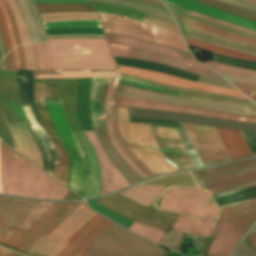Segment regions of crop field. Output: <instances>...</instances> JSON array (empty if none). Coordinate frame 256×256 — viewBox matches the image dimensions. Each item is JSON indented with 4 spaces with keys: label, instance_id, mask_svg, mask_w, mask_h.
<instances>
[{
    "label": "crop field",
    "instance_id": "8a807250",
    "mask_svg": "<svg viewBox=\"0 0 256 256\" xmlns=\"http://www.w3.org/2000/svg\"><path fill=\"white\" fill-rule=\"evenodd\" d=\"M74 209L51 234L44 235L30 250L35 256H61L79 232L97 216L84 202ZM114 222L98 215L75 238L62 256H90L84 254L88 246Z\"/></svg>",
    "mask_w": 256,
    "mask_h": 256
},
{
    "label": "crop field",
    "instance_id": "ac0d7876",
    "mask_svg": "<svg viewBox=\"0 0 256 256\" xmlns=\"http://www.w3.org/2000/svg\"><path fill=\"white\" fill-rule=\"evenodd\" d=\"M33 46L37 70L117 69L105 39H53Z\"/></svg>",
    "mask_w": 256,
    "mask_h": 256
},
{
    "label": "crop field",
    "instance_id": "34b2d1b8",
    "mask_svg": "<svg viewBox=\"0 0 256 256\" xmlns=\"http://www.w3.org/2000/svg\"><path fill=\"white\" fill-rule=\"evenodd\" d=\"M3 194L63 199L67 189L0 141Z\"/></svg>",
    "mask_w": 256,
    "mask_h": 256
},
{
    "label": "crop field",
    "instance_id": "412701ff",
    "mask_svg": "<svg viewBox=\"0 0 256 256\" xmlns=\"http://www.w3.org/2000/svg\"><path fill=\"white\" fill-rule=\"evenodd\" d=\"M0 113L7 125L27 121L18 92L17 70L0 69ZM8 127L15 150L43 168L41 153L27 122Z\"/></svg>",
    "mask_w": 256,
    "mask_h": 256
},
{
    "label": "crop field",
    "instance_id": "f4fd0767",
    "mask_svg": "<svg viewBox=\"0 0 256 256\" xmlns=\"http://www.w3.org/2000/svg\"><path fill=\"white\" fill-rule=\"evenodd\" d=\"M117 111L122 139L154 176L178 171L163 159L165 156L156 143L151 124L130 122L124 107H117Z\"/></svg>",
    "mask_w": 256,
    "mask_h": 256
},
{
    "label": "crop field",
    "instance_id": "dd49c442",
    "mask_svg": "<svg viewBox=\"0 0 256 256\" xmlns=\"http://www.w3.org/2000/svg\"><path fill=\"white\" fill-rule=\"evenodd\" d=\"M164 252V249L147 243L114 223L89 246L86 254L94 256H163Z\"/></svg>",
    "mask_w": 256,
    "mask_h": 256
},
{
    "label": "crop field",
    "instance_id": "e52e79f7",
    "mask_svg": "<svg viewBox=\"0 0 256 256\" xmlns=\"http://www.w3.org/2000/svg\"><path fill=\"white\" fill-rule=\"evenodd\" d=\"M96 14L104 33L127 35L190 53L179 35L128 17L98 11Z\"/></svg>",
    "mask_w": 256,
    "mask_h": 256
},
{
    "label": "crop field",
    "instance_id": "d8731c3e",
    "mask_svg": "<svg viewBox=\"0 0 256 256\" xmlns=\"http://www.w3.org/2000/svg\"><path fill=\"white\" fill-rule=\"evenodd\" d=\"M45 105L55 128L71 157L68 174V188L82 196L85 187L86 170L81 147L73 136L63 115L61 102L45 101Z\"/></svg>",
    "mask_w": 256,
    "mask_h": 256
},
{
    "label": "crop field",
    "instance_id": "5a996713",
    "mask_svg": "<svg viewBox=\"0 0 256 256\" xmlns=\"http://www.w3.org/2000/svg\"><path fill=\"white\" fill-rule=\"evenodd\" d=\"M156 207L205 218H215L218 214V209L209 194L200 189H168L157 200Z\"/></svg>",
    "mask_w": 256,
    "mask_h": 256
},
{
    "label": "crop field",
    "instance_id": "3316defc",
    "mask_svg": "<svg viewBox=\"0 0 256 256\" xmlns=\"http://www.w3.org/2000/svg\"><path fill=\"white\" fill-rule=\"evenodd\" d=\"M77 206L74 203H55L28 231L12 227L6 236L0 234V243L28 253L42 234L48 236Z\"/></svg>",
    "mask_w": 256,
    "mask_h": 256
},
{
    "label": "crop field",
    "instance_id": "28ad6ade",
    "mask_svg": "<svg viewBox=\"0 0 256 256\" xmlns=\"http://www.w3.org/2000/svg\"><path fill=\"white\" fill-rule=\"evenodd\" d=\"M109 78H93L91 111L96 135L111 161L124 173L131 185L142 179L118 155L108 139L104 101Z\"/></svg>",
    "mask_w": 256,
    "mask_h": 256
},
{
    "label": "crop field",
    "instance_id": "d1516ede",
    "mask_svg": "<svg viewBox=\"0 0 256 256\" xmlns=\"http://www.w3.org/2000/svg\"><path fill=\"white\" fill-rule=\"evenodd\" d=\"M36 203L35 200L0 196V233L6 235L11 226L17 227ZM53 203L39 201L18 228L28 230L49 210Z\"/></svg>",
    "mask_w": 256,
    "mask_h": 256
},
{
    "label": "crop field",
    "instance_id": "22f410ed",
    "mask_svg": "<svg viewBox=\"0 0 256 256\" xmlns=\"http://www.w3.org/2000/svg\"><path fill=\"white\" fill-rule=\"evenodd\" d=\"M97 203L133 221L165 231H168L178 217L177 214L146 209L118 194L98 199Z\"/></svg>",
    "mask_w": 256,
    "mask_h": 256
},
{
    "label": "crop field",
    "instance_id": "cbeb9de0",
    "mask_svg": "<svg viewBox=\"0 0 256 256\" xmlns=\"http://www.w3.org/2000/svg\"><path fill=\"white\" fill-rule=\"evenodd\" d=\"M192 173L206 189L232 185L256 179V158Z\"/></svg>",
    "mask_w": 256,
    "mask_h": 256
},
{
    "label": "crop field",
    "instance_id": "5142ce71",
    "mask_svg": "<svg viewBox=\"0 0 256 256\" xmlns=\"http://www.w3.org/2000/svg\"><path fill=\"white\" fill-rule=\"evenodd\" d=\"M118 81L119 79L115 78L113 93H112V98L110 103V105H113V106H125V107L145 108V109L168 111V112L190 113V114L209 116V117L219 118V119L256 123V116L237 115V114H231V113H225V112L198 109V108H193L189 106L165 104V103L152 102V101L133 100V99L117 97L116 105H114L115 93L117 90Z\"/></svg>",
    "mask_w": 256,
    "mask_h": 256
},
{
    "label": "crop field",
    "instance_id": "d9b57169",
    "mask_svg": "<svg viewBox=\"0 0 256 256\" xmlns=\"http://www.w3.org/2000/svg\"><path fill=\"white\" fill-rule=\"evenodd\" d=\"M117 96L133 98V99L153 100V101H160V102L173 103V104L189 105V106H194L198 108L225 111V112H231V113H237V114L256 115V109L152 93V92L135 89V88L124 87L120 85L118 88Z\"/></svg>",
    "mask_w": 256,
    "mask_h": 256
},
{
    "label": "crop field",
    "instance_id": "733c2abd",
    "mask_svg": "<svg viewBox=\"0 0 256 256\" xmlns=\"http://www.w3.org/2000/svg\"><path fill=\"white\" fill-rule=\"evenodd\" d=\"M182 125L190 141L192 142L194 148H211V149L225 150L214 127H210V128L214 134V137L218 145H212L217 143L209 127L191 124L198 142L212 143V144H202V143H197L190 124L182 123ZM195 150L204 167L231 161L226 151L210 150V149H195Z\"/></svg>",
    "mask_w": 256,
    "mask_h": 256
},
{
    "label": "crop field",
    "instance_id": "4a817a6b",
    "mask_svg": "<svg viewBox=\"0 0 256 256\" xmlns=\"http://www.w3.org/2000/svg\"><path fill=\"white\" fill-rule=\"evenodd\" d=\"M108 45H109V48H110L113 56L161 63V64H165V65H168V66L180 69V70L192 72V73H195V74H198L201 76L227 81L221 75H219L207 68L192 65V64L180 61V60H176V59L164 56V55H160V54L151 52V51L126 47V46H122V45H118V44H108Z\"/></svg>",
    "mask_w": 256,
    "mask_h": 256
},
{
    "label": "crop field",
    "instance_id": "bc2a9ffb",
    "mask_svg": "<svg viewBox=\"0 0 256 256\" xmlns=\"http://www.w3.org/2000/svg\"><path fill=\"white\" fill-rule=\"evenodd\" d=\"M43 81L44 79H34V98L37 111L40 115L42 123L54 145L59 164H54L53 178L66 186L67 165L69 156L61 143L57 132L53 126L50 116L43 102Z\"/></svg>",
    "mask_w": 256,
    "mask_h": 256
},
{
    "label": "crop field",
    "instance_id": "214f88e0",
    "mask_svg": "<svg viewBox=\"0 0 256 256\" xmlns=\"http://www.w3.org/2000/svg\"><path fill=\"white\" fill-rule=\"evenodd\" d=\"M152 126L163 154L182 170L194 169L195 166L175 127L155 124Z\"/></svg>",
    "mask_w": 256,
    "mask_h": 256
},
{
    "label": "crop field",
    "instance_id": "92a150f3",
    "mask_svg": "<svg viewBox=\"0 0 256 256\" xmlns=\"http://www.w3.org/2000/svg\"><path fill=\"white\" fill-rule=\"evenodd\" d=\"M99 160L102 192L105 195L130 186L123 174L110 162L93 131L84 132ZM100 195V196H101Z\"/></svg>",
    "mask_w": 256,
    "mask_h": 256
},
{
    "label": "crop field",
    "instance_id": "dafd665d",
    "mask_svg": "<svg viewBox=\"0 0 256 256\" xmlns=\"http://www.w3.org/2000/svg\"><path fill=\"white\" fill-rule=\"evenodd\" d=\"M118 67H119V71L121 73L134 75V76H137V77H140L143 79H147V80H151V81L161 82V83H165V84H169V85H173V86H177V87L210 91V92L226 94V95H231V96L248 99L245 96H243L242 94H240L238 91L219 88V87L210 86V85H206V84H202V83H195V82H191L188 80H184V79H180V78H176V77H172V76H168V75H164V74H160V73H156V72L128 68V67H123V66H119V65H118Z\"/></svg>",
    "mask_w": 256,
    "mask_h": 256
},
{
    "label": "crop field",
    "instance_id": "00972430",
    "mask_svg": "<svg viewBox=\"0 0 256 256\" xmlns=\"http://www.w3.org/2000/svg\"><path fill=\"white\" fill-rule=\"evenodd\" d=\"M240 233L225 219L221 213L217 233L212 241L207 256H228L234 250L239 239Z\"/></svg>",
    "mask_w": 256,
    "mask_h": 256
},
{
    "label": "crop field",
    "instance_id": "a9b5d70f",
    "mask_svg": "<svg viewBox=\"0 0 256 256\" xmlns=\"http://www.w3.org/2000/svg\"><path fill=\"white\" fill-rule=\"evenodd\" d=\"M104 35L108 43H118L126 46L147 49V50H151L160 54H164L173 58H177L186 62H190L196 65L202 66L200 63H198L195 60V58L192 55L185 54L181 51H178L172 48L160 46L157 44L141 41L138 39H134V38L122 36V35H107V34H104Z\"/></svg>",
    "mask_w": 256,
    "mask_h": 256
},
{
    "label": "crop field",
    "instance_id": "4177f3b9",
    "mask_svg": "<svg viewBox=\"0 0 256 256\" xmlns=\"http://www.w3.org/2000/svg\"><path fill=\"white\" fill-rule=\"evenodd\" d=\"M162 1L168 2L170 4H173V5H176V6L191 10V11L205 14V15L217 18V19H221V20H224V21L236 24V25H240V26H243L246 28L256 30V23H254V22H251V21L239 18V17H235L232 15L223 13V12L213 10V9L206 7L204 5H201L199 3L191 2L188 0H162Z\"/></svg>",
    "mask_w": 256,
    "mask_h": 256
},
{
    "label": "crop field",
    "instance_id": "730fd06b",
    "mask_svg": "<svg viewBox=\"0 0 256 256\" xmlns=\"http://www.w3.org/2000/svg\"><path fill=\"white\" fill-rule=\"evenodd\" d=\"M129 230L156 243H158V241L165 234V232L146 227L136 222L131 225ZM183 236L184 234L182 233L169 231L164 235L159 243L179 252L182 245Z\"/></svg>",
    "mask_w": 256,
    "mask_h": 256
},
{
    "label": "crop field",
    "instance_id": "eef30255",
    "mask_svg": "<svg viewBox=\"0 0 256 256\" xmlns=\"http://www.w3.org/2000/svg\"><path fill=\"white\" fill-rule=\"evenodd\" d=\"M232 160L252 155L241 131L216 127Z\"/></svg>",
    "mask_w": 256,
    "mask_h": 256
},
{
    "label": "crop field",
    "instance_id": "ae1a2a85",
    "mask_svg": "<svg viewBox=\"0 0 256 256\" xmlns=\"http://www.w3.org/2000/svg\"><path fill=\"white\" fill-rule=\"evenodd\" d=\"M217 221L196 219L180 215L171 230L191 234L212 236Z\"/></svg>",
    "mask_w": 256,
    "mask_h": 256
},
{
    "label": "crop field",
    "instance_id": "d3111659",
    "mask_svg": "<svg viewBox=\"0 0 256 256\" xmlns=\"http://www.w3.org/2000/svg\"><path fill=\"white\" fill-rule=\"evenodd\" d=\"M118 77V70L34 71V78Z\"/></svg>",
    "mask_w": 256,
    "mask_h": 256
},
{
    "label": "crop field",
    "instance_id": "750c4746",
    "mask_svg": "<svg viewBox=\"0 0 256 256\" xmlns=\"http://www.w3.org/2000/svg\"><path fill=\"white\" fill-rule=\"evenodd\" d=\"M175 17L180 25L194 28V29L203 31L205 33L217 36L219 38H222V39H225V40H228L231 42L256 46V39H251V38L243 37L240 35L228 33L225 31H221V30L209 27V26H205V25L196 23L187 18H183V17H179V16H175Z\"/></svg>",
    "mask_w": 256,
    "mask_h": 256
},
{
    "label": "crop field",
    "instance_id": "bd1437ed",
    "mask_svg": "<svg viewBox=\"0 0 256 256\" xmlns=\"http://www.w3.org/2000/svg\"><path fill=\"white\" fill-rule=\"evenodd\" d=\"M164 188L165 186L138 185L118 194L148 208Z\"/></svg>",
    "mask_w": 256,
    "mask_h": 256
},
{
    "label": "crop field",
    "instance_id": "1d83c4d3",
    "mask_svg": "<svg viewBox=\"0 0 256 256\" xmlns=\"http://www.w3.org/2000/svg\"><path fill=\"white\" fill-rule=\"evenodd\" d=\"M183 34L187 37L196 39V40H200L206 43H210V44H214V45H218L227 49H233V50H238V51H242V52H246V53H250V54H256V47H251V46H245V45H240V44H235V43H231L219 38H216L214 36L205 34L203 32L194 30V29H190L187 27H183L180 26Z\"/></svg>",
    "mask_w": 256,
    "mask_h": 256
},
{
    "label": "crop field",
    "instance_id": "120bbe31",
    "mask_svg": "<svg viewBox=\"0 0 256 256\" xmlns=\"http://www.w3.org/2000/svg\"><path fill=\"white\" fill-rule=\"evenodd\" d=\"M114 78H110L108 90H107V96H106V102H105V115L107 119V132L109 135V139L111 143L113 144L116 151L119 153V155L128 163V165L143 179H147V177L128 159V157L122 152L121 148L118 146V144L115 141V138L112 133V124H111V112H110V98H111V91H112V84H113Z\"/></svg>",
    "mask_w": 256,
    "mask_h": 256
},
{
    "label": "crop field",
    "instance_id": "d32e631a",
    "mask_svg": "<svg viewBox=\"0 0 256 256\" xmlns=\"http://www.w3.org/2000/svg\"><path fill=\"white\" fill-rule=\"evenodd\" d=\"M185 40L189 46L202 48L204 50H207V51H210V52H213L216 54H220V55L227 56V57L238 58V59L256 61V55H250V54H245V53H240V52H236V51L223 49L218 46L206 44V43L196 41V40H193V39H190L187 37H185Z\"/></svg>",
    "mask_w": 256,
    "mask_h": 256
},
{
    "label": "crop field",
    "instance_id": "5866460e",
    "mask_svg": "<svg viewBox=\"0 0 256 256\" xmlns=\"http://www.w3.org/2000/svg\"><path fill=\"white\" fill-rule=\"evenodd\" d=\"M143 184H145V185H174V186L197 187V185L190 173L166 176V177L147 181Z\"/></svg>",
    "mask_w": 256,
    "mask_h": 256
},
{
    "label": "crop field",
    "instance_id": "028f5c9d",
    "mask_svg": "<svg viewBox=\"0 0 256 256\" xmlns=\"http://www.w3.org/2000/svg\"><path fill=\"white\" fill-rule=\"evenodd\" d=\"M112 111V123H113V132L114 136L119 144V146L123 149L124 153L130 158V160L148 177H152L153 175L147 170V168L132 154V152L125 145L123 140L120 137L118 125H117V112L116 107L111 108Z\"/></svg>",
    "mask_w": 256,
    "mask_h": 256
},
{
    "label": "crop field",
    "instance_id": "e1f06a70",
    "mask_svg": "<svg viewBox=\"0 0 256 256\" xmlns=\"http://www.w3.org/2000/svg\"><path fill=\"white\" fill-rule=\"evenodd\" d=\"M40 13L94 11L90 4H36Z\"/></svg>",
    "mask_w": 256,
    "mask_h": 256
},
{
    "label": "crop field",
    "instance_id": "0bd39190",
    "mask_svg": "<svg viewBox=\"0 0 256 256\" xmlns=\"http://www.w3.org/2000/svg\"><path fill=\"white\" fill-rule=\"evenodd\" d=\"M194 1L207 5L213 9L234 14V15L243 17L245 19H249L256 22V14L237 9L225 3H222L216 0H194Z\"/></svg>",
    "mask_w": 256,
    "mask_h": 256
},
{
    "label": "crop field",
    "instance_id": "b80d0937",
    "mask_svg": "<svg viewBox=\"0 0 256 256\" xmlns=\"http://www.w3.org/2000/svg\"><path fill=\"white\" fill-rule=\"evenodd\" d=\"M253 200V199H252ZM250 201V200H248ZM247 202V201H244ZM244 202H240V203H236V204H230V205H222L220 206L221 210L244 203ZM251 212H256V200L223 210L224 215L226 216V218L228 217H232V216H237V215H242V214H246V213H251Z\"/></svg>",
    "mask_w": 256,
    "mask_h": 256
},
{
    "label": "crop field",
    "instance_id": "c035e120",
    "mask_svg": "<svg viewBox=\"0 0 256 256\" xmlns=\"http://www.w3.org/2000/svg\"><path fill=\"white\" fill-rule=\"evenodd\" d=\"M96 201H97V199L89 200L87 202L91 206L92 209L99 212L100 214L110 218L111 220L115 221L116 223H118L126 228H128L133 223V221H131V220H129L111 210H108L104 207H101V206L95 204Z\"/></svg>",
    "mask_w": 256,
    "mask_h": 256
},
{
    "label": "crop field",
    "instance_id": "c21b1889",
    "mask_svg": "<svg viewBox=\"0 0 256 256\" xmlns=\"http://www.w3.org/2000/svg\"><path fill=\"white\" fill-rule=\"evenodd\" d=\"M203 64L214 70L223 71V72L240 75V76L256 78V71L241 69V68L232 67V66L211 62V61L205 62Z\"/></svg>",
    "mask_w": 256,
    "mask_h": 256
},
{
    "label": "crop field",
    "instance_id": "03da06ac",
    "mask_svg": "<svg viewBox=\"0 0 256 256\" xmlns=\"http://www.w3.org/2000/svg\"><path fill=\"white\" fill-rule=\"evenodd\" d=\"M255 219H256V213H251V214L229 218L228 220L243 236Z\"/></svg>",
    "mask_w": 256,
    "mask_h": 256
},
{
    "label": "crop field",
    "instance_id": "b54c1fbb",
    "mask_svg": "<svg viewBox=\"0 0 256 256\" xmlns=\"http://www.w3.org/2000/svg\"><path fill=\"white\" fill-rule=\"evenodd\" d=\"M45 28L56 27H101L99 21H62L43 23Z\"/></svg>",
    "mask_w": 256,
    "mask_h": 256
},
{
    "label": "crop field",
    "instance_id": "5d738f31",
    "mask_svg": "<svg viewBox=\"0 0 256 256\" xmlns=\"http://www.w3.org/2000/svg\"><path fill=\"white\" fill-rule=\"evenodd\" d=\"M142 21L181 35L175 24L148 16V15H146V17Z\"/></svg>",
    "mask_w": 256,
    "mask_h": 256
},
{
    "label": "crop field",
    "instance_id": "d23c7cc5",
    "mask_svg": "<svg viewBox=\"0 0 256 256\" xmlns=\"http://www.w3.org/2000/svg\"><path fill=\"white\" fill-rule=\"evenodd\" d=\"M252 186H256V180L245 182V183H240V184H236V185H232V186H228V187L210 189L208 191L211 195H214V194L231 192V191H235V190H239V189H243V188H248V187H252Z\"/></svg>",
    "mask_w": 256,
    "mask_h": 256
},
{
    "label": "crop field",
    "instance_id": "425ffa30",
    "mask_svg": "<svg viewBox=\"0 0 256 256\" xmlns=\"http://www.w3.org/2000/svg\"><path fill=\"white\" fill-rule=\"evenodd\" d=\"M176 129H177L185 147L187 148V150H188L196 168L202 167V165H201V163H200V161H199V159H198V157H197V155H196V153H195V151H194V149H193V147H192V145H191V143H190V141H189V139H188V137H187V135L184 131V129L177 128V127H176Z\"/></svg>",
    "mask_w": 256,
    "mask_h": 256
},
{
    "label": "crop field",
    "instance_id": "25e5ab78",
    "mask_svg": "<svg viewBox=\"0 0 256 256\" xmlns=\"http://www.w3.org/2000/svg\"><path fill=\"white\" fill-rule=\"evenodd\" d=\"M178 96H184V97L196 98V99H201V100L215 101V102H221V103H225V104L256 108V105L238 103V102H233V101H227V100L216 99V98L205 97V96H199V95H193V94L182 93V92H180Z\"/></svg>",
    "mask_w": 256,
    "mask_h": 256
},
{
    "label": "crop field",
    "instance_id": "73cf0c24",
    "mask_svg": "<svg viewBox=\"0 0 256 256\" xmlns=\"http://www.w3.org/2000/svg\"><path fill=\"white\" fill-rule=\"evenodd\" d=\"M188 14H191V15H194V16H197V17H200V18H203V19H205V20H208V21H211V22H214V23H218V24L225 25V26H228V27H231V28H234V29H238V30H241V31L250 33V34H256V31L249 30V29H245V28H241V27H237V26H234V25L225 23V22L218 21V20H214V19H211V18H209V17L203 16V15H200V14H197V13H194V12H191V11H189Z\"/></svg>",
    "mask_w": 256,
    "mask_h": 256
},
{
    "label": "crop field",
    "instance_id": "89e229c0",
    "mask_svg": "<svg viewBox=\"0 0 256 256\" xmlns=\"http://www.w3.org/2000/svg\"><path fill=\"white\" fill-rule=\"evenodd\" d=\"M219 73L222 74L225 78H227L230 82L256 85V79L254 78L239 77L222 72Z\"/></svg>",
    "mask_w": 256,
    "mask_h": 256
},
{
    "label": "crop field",
    "instance_id": "1f2cbd36",
    "mask_svg": "<svg viewBox=\"0 0 256 256\" xmlns=\"http://www.w3.org/2000/svg\"><path fill=\"white\" fill-rule=\"evenodd\" d=\"M0 32H1L2 40L6 47V51L8 52L10 49H12V47L9 40V36L6 31L5 22H4V18L2 16L1 10H0Z\"/></svg>",
    "mask_w": 256,
    "mask_h": 256
},
{
    "label": "crop field",
    "instance_id": "dbb93151",
    "mask_svg": "<svg viewBox=\"0 0 256 256\" xmlns=\"http://www.w3.org/2000/svg\"><path fill=\"white\" fill-rule=\"evenodd\" d=\"M0 7H1V10H2L4 18H5V22H6V25H7L8 33H9L10 40H11V43H12V47H15L17 45H16L15 38H14V35H13L11 23H10L8 13H7L4 5H3L2 0H0Z\"/></svg>",
    "mask_w": 256,
    "mask_h": 256
},
{
    "label": "crop field",
    "instance_id": "0fb4a251",
    "mask_svg": "<svg viewBox=\"0 0 256 256\" xmlns=\"http://www.w3.org/2000/svg\"><path fill=\"white\" fill-rule=\"evenodd\" d=\"M3 2H4V5H5L8 13H9V16H10V19H11V23H12V27H13V31H14V35H15V38H16V42H17V45L19 46V45H21V43H20V40H19V37H18V33H17V28H16L14 17L12 15V12L10 10V7L8 5L7 0H3Z\"/></svg>",
    "mask_w": 256,
    "mask_h": 256
},
{
    "label": "crop field",
    "instance_id": "1d79db26",
    "mask_svg": "<svg viewBox=\"0 0 256 256\" xmlns=\"http://www.w3.org/2000/svg\"><path fill=\"white\" fill-rule=\"evenodd\" d=\"M240 92H256V86L232 83Z\"/></svg>",
    "mask_w": 256,
    "mask_h": 256
},
{
    "label": "crop field",
    "instance_id": "9d1cf04e",
    "mask_svg": "<svg viewBox=\"0 0 256 256\" xmlns=\"http://www.w3.org/2000/svg\"><path fill=\"white\" fill-rule=\"evenodd\" d=\"M244 240L247 241V242H248L250 245H252L254 248H256V232L247 235Z\"/></svg>",
    "mask_w": 256,
    "mask_h": 256
},
{
    "label": "crop field",
    "instance_id": "447ae74e",
    "mask_svg": "<svg viewBox=\"0 0 256 256\" xmlns=\"http://www.w3.org/2000/svg\"><path fill=\"white\" fill-rule=\"evenodd\" d=\"M7 65L8 68L15 69L12 51L7 55Z\"/></svg>",
    "mask_w": 256,
    "mask_h": 256
},
{
    "label": "crop field",
    "instance_id": "0765c3eb",
    "mask_svg": "<svg viewBox=\"0 0 256 256\" xmlns=\"http://www.w3.org/2000/svg\"><path fill=\"white\" fill-rule=\"evenodd\" d=\"M0 256H22V255L14 254V253L9 252L3 248H0Z\"/></svg>",
    "mask_w": 256,
    "mask_h": 256
},
{
    "label": "crop field",
    "instance_id": "db79e9e6",
    "mask_svg": "<svg viewBox=\"0 0 256 256\" xmlns=\"http://www.w3.org/2000/svg\"><path fill=\"white\" fill-rule=\"evenodd\" d=\"M13 52H14V59H15L16 69H20V67H19V56H18L17 47L15 49H13Z\"/></svg>",
    "mask_w": 256,
    "mask_h": 256
},
{
    "label": "crop field",
    "instance_id": "7b73153f",
    "mask_svg": "<svg viewBox=\"0 0 256 256\" xmlns=\"http://www.w3.org/2000/svg\"><path fill=\"white\" fill-rule=\"evenodd\" d=\"M18 50H19L20 61H21V69H25V62H24V56H23L22 47L19 46Z\"/></svg>",
    "mask_w": 256,
    "mask_h": 256
},
{
    "label": "crop field",
    "instance_id": "78b8030e",
    "mask_svg": "<svg viewBox=\"0 0 256 256\" xmlns=\"http://www.w3.org/2000/svg\"><path fill=\"white\" fill-rule=\"evenodd\" d=\"M251 98L253 101H256V93H243Z\"/></svg>",
    "mask_w": 256,
    "mask_h": 256
},
{
    "label": "crop field",
    "instance_id": "0f1d7ab4",
    "mask_svg": "<svg viewBox=\"0 0 256 256\" xmlns=\"http://www.w3.org/2000/svg\"><path fill=\"white\" fill-rule=\"evenodd\" d=\"M244 1H247V2H250V3H253V4H256V0H244Z\"/></svg>",
    "mask_w": 256,
    "mask_h": 256
},
{
    "label": "crop field",
    "instance_id": "e1d0b9f6",
    "mask_svg": "<svg viewBox=\"0 0 256 256\" xmlns=\"http://www.w3.org/2000/svg\"><path fill=\"white\" fill-rule=\"evenodd\" d=\"M149 1H152V2H155V3H159V4H162L161 2H159L158 0H149ZM163 5V4H162Z\"/></svg>",
    "mask_w": 256,
    "mask_h": 256
},
{
    "label": "crop field",
    "instance_id": "ae633e8c",
    "mask_svg": "<svg viewBox=\"0 0 256 256\" xmlns=\"http://www.w3.org/2000/svg\"><path fill=\"white\" fill-rule=\"evenodd\" d=\"M0 193H2L1 177H0Z\"/></svg>",
    "mask_w": 256,
    "mask_h": 256
},
{
    "label": "crop field",
    "instance_id": "d14b1444",
    "mask_svg": "<svg viewBox=\"0 0 256 256\" xmlns=\"http://www.w3.org/2000/svg\"><path fill=\"white\" fill-rule=\"evenodd\" d=\"M256 134V133H255Z\"/></svg>",
    "mask_w": 256,
    "mask_h": 256
}]
</instances>
